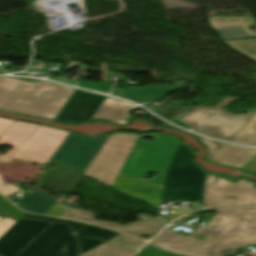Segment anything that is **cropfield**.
Returning <instances> with one entry per match:
<instances>
[{
    "label": "crop field",
    "instance_id": "1",
    "mask_svg": "<svg viewBox=\"0 0 256 256\" xmlns=\"http://www.w3.org/2000/svg\"><path fill=\"white\" fill-rule=\"evenodd\" d=\"M151 243L188 256H220L227 248L236 253L233 247L256 244V207L217 211L207 226L188 237L165 230Z\"/></svg>",
    "mask_w": 256,
    "mask_h": 256
},
{
    "label": "crop field",
    "instance_id": "2",
    "mask_svg": "<svg viewBox=\"0 0 256 256\" xmlns=\"http://www.w3.org/2000/svg\"><path fill=\"white\" fill-rule=\"evenodd\" d=\"M73 93L71 87L0 77V110L55 119Z\"/></svg>",
    "mask_w": 256,
    "mask_h": 256
},
{
    "label": "crop field",
    "instance_id": "3",
    "mask_svg": "<svg viewBox=\"0 0 256 256\" xmlns=\"http://www.w3.org/2000/svg\"><path fill=\"white\" fill-rule=\"evenodd\" d=\"M143 136L155 139L153 142L141 141ZM178 143L179 138L175 136H139L120 174L137 178L145 176L149 172H158L157 181L146 180L162 186L165 173Z\"/></svg>",
    "mask_w": 256,
    "mask_h": 256
},
{
    "label": "crop field",
    "instance_id": "4",
    "mask_svg": "<svg viewBox=\"0 0 256 256\" xmlns=\"http://www.w3.org/2000/svg\"><path fill=\"white\" fill-rule=\"evenodd\" d=\"M191 154L179 143L165 176L162 200L201 201L206 172L194 165Z\"/></svg>",
    "mask_w": 256,
    "mask_h": 256
},
{
    "label": "crop field",
    "instance_id": "5",
    "mask_svg": "<svg viewBox=\"0 0 256 256\" xmlns=\"http://www.w3.org/2000/svg\"><path fill=\"white\" fill-rule=\"evenodd\" d=\"M233 99L230 97L216 107L197 106L182 120L200 134L230 141L256 113V110L246 115L229 113L224 107ZM211 113L213 116L208 117Z\"/></svg>",
    "mask_w": 256,
    "mask_h": 256
},
{
    "label": "crop field",
    "instance_id": "6",
    "mask_svg": "<svg viewBox=\"0 0 256 256\" xmlns=\"http://www.w3.org/2000/svg\"><path fill=\"white\" fill-rule=\"evenodd\" d=\"M138 135L114 133L102 146L84 174L112 187Z\"/></svg>",
    "mask_w": 256,
    "mask_h": 256
},
{
    "label": "crop field",
    "instance_id": "7",
    "mask_svg": "<svg viewBox=\"0 0 256 256\" xmlns=\"http://www.w3.org/2000/svg\"><path fill=\"white\" fill-rule=\"evenodd\" d=\"M216 176L207 175L204 186L205 209L222 207H232L241 205L256 204V189L254 183L240 180L237 183H230L219 178L215 184ZM225 196H235V199L225 198ZM224 201L227 203L225 204ZM215 204L217 206H215Z\"/></svg>",
    "mask_w": 256,
    "mask_h": 256
},
{
    "label": "crop field",
    "instance_id": "8",
    "mask_svg": "<svg viewBox=\"0 0 256 256\" xmlns=\"http://www.w3.org/2000/svg\"><path fill=\"white\" fill-rule=\"evenodd\" d=\"M76 250L70 227L52 223L17 256H76Z\"/></svg>",
    "mask_w": 256,
    "mask_h": 256
},
{
    "label": "crop field",
    "instance_id": "9",
    "mask_svg": "<svg viewBox=\"0 0 256 256\" xmlns=\"http://www.w3.org/2000/svg\"><path fill=\"white\" fill-rule=\"evenodd\" d=\"M107 137L84 138L70 133L46 164H63L84 173Z\"/></svg>",
    "mask_w": 256,
    "mask_h": 256
},
{
    "label": "crop field",
    "instance_id": "10",
    "mask_svg": "<svg viewBox=\"0 0 256 256\" xmlns=\"http://www.w3.org/2000/svg\"><path fill=\"white\" fill-rule=\"evenodd\" d=\"M69 132L40 126L10 157L38 164H45Z\"/></svg>",
    "mask_w": 256,
    "mask_h": 256
},
{
    "label": "crop field",
    "instance_id": "11",
    "mask_svg": "<svg viewBox=\"0 0 256 256\" xmlns=\"http://www.w3.org/2000/svg\"><path fill=\"white\" fill-rule=\"evenodd\" d=\"M50 224L33 220L16 222L0 237V255L16 256Z\"/></svg>",
    "mask_w": 256,
    "mask_h": 256
},
{
    "label": "crop field",
    "instance_id": "12",
    "mask_svg": "<svg viewBox=\"0 0 256 256\" xmlns=\"http://www.w3.org/2000/svg\"><path fill=\"white\" fill-rule=\"evenodd\" d=\"M105 98V96L76 90L62 108L56 120L80 122L89 119Z\"/></svg>",
    "mask_w": 256,
    "mask_h": 256
},
{
    "label": "crop field",
    "instance_id": "13",
    "mask_svg": "<svg viewBox=\"0 0 256 256\" xmlns=\"http://www.w3.org/2000/svg\"><path fill=\"white\" fill-rule=\"evenodd\" d=\"M82 215H85V217ZM63 217L73 218V219H78V220L98 224L101 226H105V227H108L111 229H115L118 231H122V232H125L128 234H131L134 236H137L141 233H145V234H149L152 232L157 233L159 230H161L163 227H165L160 220L155 219V218L145 219L142 221H138V222L126 225V226L115 225L110 222H96V221H94V217H95L94 214H92L90 212L70 208V207H68V209Z\"/></svg>",
    "mask_w": 256,
    "mask_h": 256
},
{
    "label": "crop field",
    "instance_id": "14",
    "mask_svg": "<svg viewBox=\"0 0 256 256\" xmlns=\"http://www.w3.org/2000/svg\"><path fill=\"white\" fill-rule=\"evenodd\" d=\"M38 127V125L14 121L0 137V145H10L14 147L12 151L6 153L5 156H0V162L9 164L12 159L8 157L11 156Z\"/></svg>",
    "mask_w": 256,
    "mask_h": 256
},
{
    "label": "crop field",
    "instance_id": "15",
    "mask_svg": "<svg viewBox=\"0 0 256 256\" xmlns=\"http://www.w3.org/2000/svg\"><path fill=\"white\" fill-rule=\"evenodd\" d=\"M138 108L137 106L127 103L125 101H117L115 99L107 97L95 115L93 119H105L112 121L119 125L126 124L125 119L129 117L126 112L130 109Z\"/></svg>",
    "mask_w": 256,
    "mask_h": 256
},
{
    "label": "crop field",
    "instance_id": "16",
    "mask_svg": "<svg viewBox=\"0 0 256 256\" xmlns=\"http://www.w3.org/2000/svg\"><path fill=\"white\" fill-rule=\"evenodd\" d=\"M256 155V150L227 144L211 162L241 168Z\"/></svg>",
    "mask_w": 256,
    "mask_h": 256
},
{
    "label": "crop field",
    "instance_id": "17",
    "mask_svg": "<svg viewBox=\"0 0 256 256\" xmlns=\"http://www.w3.org/2000/svg\"><path fill=\"white\" fill-rule=\"evenodd\" d=\"M41 191H34L32 194L26 193L18 206L35 213L44 214L55 202Z\"/></svg>",
    "mask_w": 256,
    "mask_h": 256
},
{
    "label": "crop field",
    "instance_id": "18",
    "mask_svg": "<svg viewBox=\"0 0 256 256\" xmlns=\"http://www.w3.org/2000/svg\"><path fill=\"white\" fill-rule=\"evenodd\" d=\"M55 222L71 225L73 227V230L77 232L76 235L80 237H96L101 240L107 241L119 235V233L102 229L99 227L91 226L85 223H79V222H73V221H67V220H61V219H57Z\"/></svg>",
    "mask_w": 256,
    "mask_h": 256
},
{
    "label": "crop field",
    "instance_id": "19",
    "mask_svg": "<svg viewBox=\"0 0 256 256\" xmlns=\"http://www.w3.org/2000/svg\"><path fill=\"white\" fill-rule=\"evenodd\" d=\"M164 91L165 89L145 86L142 88L126 90L125 95L122 97L138 103L154 102Z\"/></svg>",
    "mask_w": 256,
    "mask_h": 256
},
{
    "label": "crop field",
    "instance_id": "20",
    "mask_svg": "<svg viewBox=\"0 0 256 256\" xmlns=\"http://www.w3.org/2000/svg\"><path fill=\"white\" fill-rule=\"evenodd\" d=\"M131 254L133 253L118 245L105 242L81 256H130Z\"/></svg>",
    "mask_w": 256,
    "mask_h": 256
},
{
    "label": "crop field",
    "instance_id": "21",
    "mask_svg": "<svg viewBox=\"0 0 256 256\" xmlns=\"http://www.w3.org/2000/svg\"><path fill=\"white\" fill-rule=\"evenodd\" d=\"M231 141L256 145V114Z\"/></svg>",
    "mask_w": 256,
    "mask_h": 256
},
{
    "label": "crop field",
    "instance_id": "22",
    "mask_svg": "<svg viewBox=\"0 0 256 256\" xmlns=\"http://www.w3.org/2000/svg\"><path fill=\"white\" fill-rule=\"evenodd\" d=\"M51 79L61 81V82H64V83H68V84H72V85H76V86H80V87H84V88H89V89L105 92V93H108V91L112 87V85H110V84L79 83V82H75V81H71V80H67V79H63V78H59V77H54V78H51Z\"/></svg>",
    "mask_w": 256,
    "mask_h": 256
},
{
    "label": "crop field",
    "instance_id": "23",
    "mask_svg": "<svg viewBox=\"0 0 256 256\" xmlns=\"http://www.w3.org/2000/svg\"><path fill=\"white\" fill-rule=\"evenodd\" d=\"M109 242H114V243H118L121 244L123 246H125L126 248L130 249L131 251H136L140 246H142L145 242L134 239V238H130L124 235H119L111 240H109Z\"/></svg>",
    "mask_w": 256,
    "mask_h": 256
},
{
    "label": "crop field",
    "instance_id": "24",
    "mask_svg": "<svg viewBox=\"0 0 256 256\" xmlns=\"http://www.w3.org/2000/svg\"><path fill=\"white\" fill-rule=\"evenodd\" d=\"M0 210L14 218H20L24 213L22 210L14 207L10 202H8L4 197L0 195Z\"/></svg>",
    "mask_w": 256,
    "mask_h": 256
},
{
    "label": "crop field",
    "instance_id": "25",
    "mask_svg": "<svg viewBox=\"0 0 256 256\" xmlns=\"http://www.w3.org/2000/svg\"><path fill=\"white\" fill-rule=\"evenodd\" d=\"M197 137L201 139L202 143L208 145L209 151L206 155V159L209 161L225 146V144H222V143H219L216 141L204 139L199 136H197Z\"/></svg>",
    "mask_w": 256,
    "mask_h": 256
},
{
    "label": "crop field",
    "instance_id": "26",
    "mask_svg": "<svg viewBox=\"0 0 256 256\" xmlns=\"http://www.w3.org/2000/svg\"><path fill=\"white\" fill-rule=\"evenodd\" d=\"M78 240L80 241V249H81L82 253H84V252L94 248L95 246L103 243V241L97 240V239L78 238Z\"/></svg>",
    "mask_w": 256,
    "mask_h": 256
},
{
    "label": "crop field",
    "instance_id": "27",
    "mask_svg": "<svg viewBox=\"0 0 256 256\" xmlns=\"http://www.w3.org/2000/svg\"><path fill=\"white\" fill-rule=\"evenodd\" d=\"M3 184L5 183L1 182V179H0V192L6 196H9L12 193L16 192L17 190H19V188H16L7 184L6 186H4Z\"/></svg>",
    "mask_w": 256,
    "mask_h": 256
},
{
    "label": "crop field",
    "instance_id": "28",
    "mask_svg": "<svg viewBox=\"0 0 256 256\" xmlns=\"http://www.w3.org/2000/svg\"><path fill=\"white\" fill-rule=\"evenodd\" d=\"M15 223V221L6 218L2 221H0V236L7 230L9 229L13 224Z\"/></svg>",
    "mask_w": 256,
    "mask_h": 256
},
{
    "label": "crop field",
    "instance_id": "29",
    "mask_svg": "<svg viewBox=\"0 0 256 256\" xmlns=\"http://www.w3.org/2000/svg\"><path fill=\"white\" fill-rule=\"evenodd\" d=\"M140 253L149 254L152 256H177V255L169 254L167 252L157 251V250H149V249H143L142 251H140Z\"/></svg>",
    "mask_w": 256,
    "mask_h": 256
},
{
    "label": "crop field",
    "instance_id": "30",
    "mask_svg": "<svg viewBox=\"0 0 256 256\" xmlns=\"http://www.w3.org/2000/svg\"><path fill=\"white\" fill-rule=\"evenodd\" d=\"M12 120L0 118V136L10 126Z\"/></svg>",
    "mask_w": 256,
    "mask_h": 256
},
{
    "label": "crop field",
    "instance_id": "31",
    "mask_svg": "<svg viewBox=\"0 0 256 256\" xmlns=\"http://www.w3.org/2000/svg\"><path fill=\"white\" fill-rule=\"evenodd\" d=\"M241 169H245L248 171H254L256 172V156L251 159L245 166H243Z\"/></svg>",
    "mask_w": 256,
    "mask_h": 256
},
{
    "label": "crop field",
    "instance_id": "32",
    "mask_svg": "<svg viewBox=\"0 0 256 256\" xmlns=\"http://www.w3.org/2000/svg\"><path fill=\"white\" fill-rule=\"evenodd\" d=\"M21 218H29V219H36V220H49V221L55 220V218L37 216V215L29 214V213L24 214Z\"/></svg>",
    "mask_w": 256,
    "mask_h": 256
},
{
    "label": "crop field",
    "instance_id": "33",
    "mask_svg": "<svg viewBox=\"0 0 256 256\" xmlns=\"http://www.w3.org/2000/svg\"><path fill=\"white\" fill-rule=\"evenodd\" d=\"M174 218H176V216H166V217L162 218V220H163V222H166V224H168L169 221Z\"/></svg>",
    "mask_w": 256,
    "mask_h": 256
},
{
    "label": "crop field",
    "instance_id": "34",
    "mask_svg": "<svg viewBox=\"0 0 256 256\" xmlns=\"http://www.w3.org/2000/svg\"><path fill=\"white\" fill-rule=\"evenodd\" d=\"M135 256H145V255H142V254H136Z\"/></svg>",
    "mask_w": 256,
    "mask_h": 256
},
{
    "label": "crop field",
    "instance_id": "35",
    "mask_svg": "<svg viewBox=\"0 0 256 256\" xmlns=\"http://www.w3.org/2000/svg\"><path fill=\"white\" fill-rule=\"evenodd\" d=\"M1 217V216H0ZM1 218H4V217H1Z\"/></svg>",
    "mask_w": 256,
    "mask_h": 256
},
{
    "label": "crop field",
    "instance_id": "36",
    "mask_svg": "<svg viewBox=\"0 0 256 256\" xmlns=\"http://www.w3.org/2000/svg\"><path fill=\"white\" fill-rule=\"evenodd\" d=\"M1 219V218H0Z\"/></svg>",
    "mask_w": 256,
    "mask_h": 256
}]
</instances>
